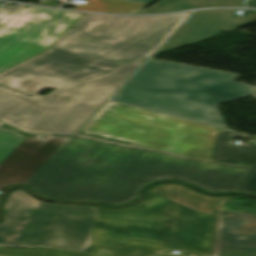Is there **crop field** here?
<instances>
[{
  "label": "crop field",
  "instance_id": "cbeb9de0",
  "mask_svg": "<svg viewBox=\"0 0 256 256\" xmlns=\"http://www.w3.org/2000/svg\"><path fill=\"white\" fill-rule=\"evenodd\" d=\"M147 4L123 1V0H87V4L76 7L79 10L122 13V14H136Z\"/></svg>",
  "mask_w": 256,
  "mask_h": 256
},
{
  "label": "crop field",
  "instance_id": "214f88e0",
  "mask_svg": "<svg viewBox=\"0 0 256 256\" xmlns=\"http://www.w3.org/2000/svg\"><path fill=\"white\" fill-rule=\"evenodd\" d=\"M218 238V237H217ZM222 239H227V238H222ZM232 240H241V239H232Z\"/></svg>",
  "mask_w": 256,
  "mask_h": 256
},
{
  "label": "crop field",
  "instance_id": "ac0d7876",
  "mask_svg": "<svg viewBox=\"0 0 256 256\" xmlns=\"http://www.w3.org/2000/svg\"><path fill=\"white\" fill-rule=\"evenodd\" d=\"M189 13L85 14L50 49L0 73V86L32 96L147 59Z\"/></svg>",
  "mask_w": 256,
  "mask_h": 256
},
{
  "label": "crop field",
  "instance_id": "733c2abd",
  "mask_svg": "<svg viewBox=\"0 0 256 256\" xmlns=\"http://www.w3.org/2000/svg\"><path fill=\"white\" fill-rule=\"evenodd\" d=\"M129 1H135V2H141V3L151 4V3L154 2L155 0H129Z\"/></svg>",
  "mask_w": 256,
  "mask_h": 256
},
{
  "label": "crop field",
  "instance_id": "dd49c442",
  "mask_svg": "<svg viewBox=\"0 0 256 256\" xmlns=\"http://www.w3.org/2000/svg\"><path fill=\"white\" fill-rule=\"evenodd\" d=\"M96 207L50 204L23 190L6 200L0 245L85 251L91 244Z\"/></svg>",
  "mask_w": 256,
  "mask_h": 256
},
{
  "label": "crop field",
  "instance_id": "5142ce71",
  "mask_svg": "<svg viewBox=\"0 0 256 256\" xmlns=\"http://www.w3.org/2000/svg\"><path fill=\"white\" fill-rule=\"evenodd\" d=\"M0 123V162L25 138L12 130L1 127Z\"/></svg>",
  "mask_w": 256,
  "mask_h": 256
},
{
  "label": "crop field",
  "instance_id": "d8731c3e",
  "mask_svg": "<svg viewBox=\"0 0 256 256\" xmlns=\"http://www.w3.org/2000/svg\"><path fill=\"white\" fill-rule=\"evenodd\" d=\"M83 15L25 6L0 28V72L50 48Z\"/></svg>",
  "mask_w": 256,
  "mask_h": 256
},
{
  "label": "crop field",
  "instance_id": "5a996713",
  "mask_svg": "<svg viewBox=\"0 0 256 256\" xmlns=\"http://www.w3.org/2000/svg\"><path fill=\"white\" fill-rule=\"evenodd\" d=\"M71 138L26 137L0 163V191L10 184H25Z\"/></svg>",
  "mask_w": 256,
  "mask_h": 256
},
{
  "label": "crop field",
  "instance_id": "8a807250",
  "mask_svg": "<svg viewBox=\"0 0 256 256\" xmlns=\"http://www.w3.org/2000/svg\"><path fill=\"white\" fill-rule=\"evenodd\" d=\"M250 168L78 134L26 185L47 198L120 204L136 199L145 183L164 178L233 191Z\"/></svg>",
  "mask_w": 256,
  "mask_h": 256
},
{
  "label": "crop field",
  "instance_id": "4a817a6b",
  "mask_svg": "<svg viewBox=\"0 0 256 256\" xmlns=\"http://www.w3.org/2000/svg\"><path fill=\"white\" fill-rule=\"evenodd\" d=\"M251 96L254 97V98H256V88L254 89V91H253V93H252Z\"/></svg>",
  "mask_w": 256,
  "mask_h": 256
},
{
  "label": "crop field",
  "instance_id": "34b2d1b8",
  "mask_svg": "<svg viewBox=\"0 0 256 256\" xmlns=\"http://www.w3.org/2000/svg\"><path fill=\"white\" fill-rule=\"evenodd\" d=\"M215 217L148 192L137 206L97 207L89 253L0 247V256H210Z\"/></svg>",
  "mask_w": 256,
  "mask_h": 256
},
{
  "label": "crop field",
  "instance_id": "d9b57169",
  "mask_svg": "<svg viewBox=\"0 0 256 256\" xmlns=\"http://www.w3.org/2000/svg\"><path fill=\"white\" fill-rule=\"evenodd\" d=\"M23 7L24 6L8 5L4 8H0V27Z\"/></svg>",
  "mask_w": 256,
  "mask_h": 256
},
{
  "label": "crop field",
  "instance_id": "e52e79f7",
  "mask_svg": "<svg viewBox=\"0 0 256 256\" xmlns=\"http://www.w3.org/2000/svg\"><path fill=\"white\" fill-rule=\"evenodd\" d=\"M217 130L108 101L79 132L211 159Z\"/></svg>",
  "mask_w": 256,
  "mask_h": 256
},
{
  "label": "crop field",
  "instance_id": "f4fd0767",
  "mask_svg": "<svg viewBox=\"0 0 256 256\" xmlns=\"http://www.w3.org/2000/svg\"><path fill=\"white\" fill-rule=\"evenodd\" d=\"M28 97L0 87V120L28 133L73 134L142 63Z\"/></svg>",
  "mask_w": 256,
  "mask_h": 256
},
{
  "label": "crop field",
  "instance_id": "3316defc",
  "mask_svg": "<svg viewBox=\"0 0 256 256\" xmlns=\"http://www.w3.org/2000/svg\"><path fill=\"white\" fill-rule=\"evenodd\" d=\"M214 256H256V214L221 210Z\"/></svg>",
  "mask_w": 256,
  "mask_h": 256
},
{
  "label": "crop field",
  "instance_id": "412701ff",
  "mask_svg": "<svg viewBox=\"0 0 256 256\" xmlns=\"http://www.w3.org/2000/svg\"><path fill=\"white\" fill-rule=\"evenodd\" d=\"M236 77L150 59L111 99L227 128L218 105L253 90Z\"/></svg>",
  "mask_w": 256,
  "mask_h": 256
},
{
  "label": "crop field",
  "instance_id": "22f410ed",
  "mask_svg": "<svg viewBox=\"0 0 256 256\" xmlns=\"http://www.w3.org/2000/svg\"><path fill=\"white\" fill-rule=\"evenodd\" d=\"M246 0H161L139 13H162L209 6H244ZM138 13V14H139Z\"/></svg>",
  "mask_w": 256,
  "mask_h": 256
},
{
  "label": "crop field",
  "instance_id": "28ad6ade",
  "mask_svg": "<svg viewBox=\"0 0 256 256\" xmlns=\"http://www.w3.org/2000/svg\"><path fill=\"white\" fill-rule=\"evenodd\" d=\"M248 135L219 128L212 159L245 162L253 165L237 191L256 193V145H233L235 138Z\"/></svg>",
  "mask_w": 256,
  "mask_h": 256
},
{
  "label": "crop field",
  "instance_id": "d1516ede",
  "mask_svg": "<svg viewBox=\"0 0 256 256\" xmlns=\"http://www.w3.org/2000/svg\"><path fill=\"white\" fill-rule=\"evenodd\" d=\"M149 190L200 212L217 211L219 197L201 195L181 185L161 184Z\"/></svg>",
  "mask_w": 256,
  "mask_h": 256
},
{
  "label": "crop field",
  "instance_id": "bc2a9ffb",
  "mask_svg": "<svg viewBox=\"0 0 256 256\" xmlns=\"http://www.w3.org/2000/svg\"><path fill=\"white\" fill-rule=\"evenodd\" d=\"M32 136H36V137H40V138L44 137V135H32Z\"/></svg>",
  "mask_w": 256,
  "mask_h": 256
}]
</instances>
